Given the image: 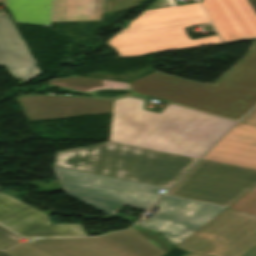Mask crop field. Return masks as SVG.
Segmentation results:
<instances>
[{"label":"crop field","instance_id":"a9b5d70f","mask_svg":"<svg viewBox=\"0 0 256 256\" xmlns=\"http://www.w3.org/2000/svg\"><path fill=\"white\" fill-rule=\"evenodd\" d=\"M35 239H36V238H35ZM31 240H34V239H28V241H31ZM28 241H27V242H28ZM25 243H26V242H25ZM20 244H23V243H19V244H17V245H14V246H12V247L7 248V249L13 248V247L18 246V245H20ZM7 249H4V250H2V251H5V250H7Z\"/></svg>","mask_w":256,"mask_h":256},{"label":"crop field","instance_id":"34b2d1b8","mask_svg":"<svg viewBox=\"0 0 256 256\" xmlns=\"http://www.w3.org/2000/svg\"><path fill=\"white\" fill-rule=\"evenodd\" d=\"M196 158L108 142L56 153V166L170 188Z\"/></svg>","mask_w":256,"mask_h":256},{"label":"crop field","instance_id":"4a817a6b","mask_svg":"<svg viewBox=\"0 0 256 256\" xmlns=\"http://www.w3.org/2000/svg\"><path fill=\"white\" fill-rule=\"evenodd\" d=\"M228 208L256 217V187Z\"/></svg>","mask_w":256,"mask_h":256},{"label":"crop field","instance_id":"f4fd0767","mask_svg":"<svg viewBox=\"0 0 256 256\" xmlns=\"http://www.w3.org/2000/svg\"><path fill=\"white\" fill-rule=\"evenodd\" d=\"M12 256H162L132 228L99 238L36 239L5 251Z\"/></svg>","mask_w":256,"mask_h":256},{"label":"crop field","instance_id":"412701ff","mask_svg":"<svg viewBox=\"0 0 256 256\" xmlns=\"http://www.w3.org/2000/svg\"><path fill=\"white\" fill-rule=\"evenodd\" d=\"M53 170L67 195L109 216L125 205L146 211L162 195V187L56 166Z\"/></svg>","mask_w":256,"mask_h":256},{"label":"crop field","instance_id":"dd49c442","mask_svg":"<svg viewBox=\"0 0 256 256\" xmlns=\"http://www.w3.org/2000/svg\"><path fill=\"white\" fill-rule=\"evenodd\" d=\"M256 186V170L201 160L167 194L229 206Z\"/></svg>","mask_w":256,"mask_h":256},{"label":"crop field","instance_id":"4177f3b9","mask_svg":"<svg viewBox=\"0 0 256 256\" xmlns=\"http://www.w3.org/2000/svg\"><path fill=\"white\" fill-rule=\"evenodd\" d=\"M0 256H9V255L4 253V252H2V251H0Z\"/></svg>","mask_w":256,"mask_h":256},{"label":"crop field","instance_id":"92a150f3","mask_svg":"<svg viewBox=\"0 0 256 256\" xmlns=\"http://www.w3.org/2000/svg\"><path fill=\"white\" fill-rule=\"evenodd\" d=\"M154 218H155L154 216H151V217H150L147 221H145L144 223L137 222L136 225H139V226H141V225H143V224L146 225V224L150 223Z\"/></svg>","mask_w":256,"mask_h":256},{"label":"crop field","instance_id":"d9b57169","mask_svg":"<svg viewBox=\"0 0 256 256\" xmlns=\"http://www.w3.org/2000/svg\"><path fill=\"white\" fill-rule=\"evenodd\" d=\"M52 0H7L15 22L50 25Z\"/></svg>","mask_w":256,"mask_h":256},{"label":"crop field","instance_id":"5a996713","mask_svg":"<svg viewBox=\"0 0 256 256\" xmlns=\"http://www.w3.org/2000/svg\"><path fill=\"white\" fill-rule=\"evenodd\" d=\"M0 224L24 237L85 236L80 225L51 224L47 215L1 193Z\"/></svg>","mask_w":256,"mask_h":256},{"label":"crop field","instance_id":"eef30255","mask_svg":"<svg viewBox=\"0 0 256 256\" xmlns=\"http://www.w3.org/2000/svg\"><path fill=\"white\" fill-rule=\"evenodd\" d=\"M0 2H2V0H0Z\"/></svg>","mask_w":256,"mask_h":256},{"label":"crop field","instance_id":"00972430","mask_svg":"<svg viewBox=\"0 0 256 256\" xmlns=\"http://www.w3.org/2000/svg\"><path fill=\"white\" fill-rule=\"evenodd\" d=\"M251 6L253 7L254 11L256 12V0H248Z\"/></svg>","mask_w":256,"mask_h":256},{"label":"crop field","instance_id":"d8731c3e","mask_svg":"<svg viewBox=\"0 0 256 256\" xmlns=\"http://www.w3.org/2000/svg\"><path fill=\"white\" fill-rule=\"evenodd\" d=\"M158 205L156 218L142 226L162 232L164 237L177 245L219 214L225 208L197 201L165 196Z\"/></svg>","mask_w":256,"mask_h":256},{"label":"crop field","instance_id":"8a807250","mask_svg":"<svg viewBox=\"0 0 256 256\" xmlns=\"http://www.w3.org/2000/svg\"><path fill=\"white\" fill-rule=\"evenodd\" d=\"M26 121L113 113L109 141L200 158L235 121L168 104L159 113L131 97L16 99Z\"/></svg>","mask_w":256,"mask_h":256},{"label":"crop field","instance_id":"dafd665d","mask_svg":"<svg viewBox=\"0 0 256 256\" xmlns=\"http://www.w3.org/2000/svg\"><path fill=\"white\" fill-rule=\"evenodd\" d=\"M244 256H256V247L254 249H252L251 251H249Z\"/></svg>","mask_w":256,"mask_h":256},{"label":"crop field","instance_id":"733c2abd","mask_svg":"<svg viewBox=\"0 0 256 256\" xmlns=\"http://www.w3.org/2000/svg\"><path fill=\"white\" fill-rule=\"evenodd\" d=\"M49 85L52 87L85 92V93H91L97 90H110V89H126L128 91H131L129 87L130 84L128 85L126 83L83 78V77H76V76H71L68 78H55L49 81Z\"/></svg>","mask_w":256,"mask_h":256},{"label":"crop field","instance_id":"22f410ed","mask_svg":"<svg viewBox=\"0 0 256 256\" xmlns=\"http://www.w3.org/2000/svg\"><path fill=\"white\" fill-rule=\"evenodd\" d=\"M203 159L256 169V126L238 122Z\"/></svg>","mask_w":256,"mask_h":256},{"label":"crop field","instance_id":"214f88e0","mask_svg":"<svg viewBox=\"0 0 256 256\" xmlns=\"http://www.w3.org/2000/svg\"><path fill=\"white\" fill-rule=\"evenodd\" d=\"M240 121L256 125V107Z\"/></svg>","mask_w":256,"mask_h":256},{"label":"crop field","instance_id":"bc2a9ffb","mask_svg":"<svg viewBox=\"0 0 256 256\" xmlns=\"http://www.w3.org/2000/svg\"><path fill=\"white\" fill-rule=\"evenodd\" d=\"M18 238L20 237L0 226V250L19 243Z\"/></svg>","mask_w":256,"mask_h":256},{"label":"crop field","instance_id":"730fd06b","mask_svg":"<svg viewBox=\"0 0 256 256\" xmlns=\"http://www.w3.org/2000/svg\"><path fill=\"white\" fill-rule=\"evenodd\" d=\"M185 256H199V255H195V254L188 253V254H186Z\"/></svg>","mask_w":256,"mask_h":256},{"label":"crop field","instance_id":"ac0d7876","mask_svg":"<svg viewBox=\"0 0 256 256\" xmlns=\"http://www.w3.org/2000/svg\"><path fill=\"white\" fill-rule=\"evenodd\" d=\"M130 87L134 93L240 119L256 104V45L216 86L153 72Z\"/></svg>","mask_w":256,"mask_h":256},{"label":"crop field","instance_id":"cbeb9de0","mask_svg":"<svg viewBox=\"0 0 256 256\" xmlns=\"http://www.w3.org/2000/svg\"><path fill=\"white\" fill-rule=\"evenodd\" d=\"M0 66H5L19 85L41 74L10 17L0 15Z\"/></svg>","mask_w":256,"mask_h":256},{"label":"crop field","instance_id":"5142ce71","mask_svg":"<svg viewBox=\"0 0 256 256\" xmlns=\"http://www.w3.org/2000/svg\"><path fill=\"white\" fill-rule=\"evenodd\" d=\"M103 0H53L51 22L101 20Z\"/></svg>","mask_w":256,"mask_h":256},{"label":"crop field","instance_id":"28ad6ade","mask_svg":"<svg viewBox=\"0 0 256 256\" xmlns=\"http://www.w3.org/2000/svg\"><path fill=\"white\" fill-rule=\"evenodd\" d=\"M221 39L225 42L256 37V14L247 0H203Z\"/></svg>","mask_w":256,"mask_h":256},{"label":"crop field","instance_id":"e52e79f7","mask_svg":"<svg viewBox=\"0 0 256 256\" xmlns=\"http://www.w3.org/2000/svg\"><path fill=\"white\" fill-rule=\"evenodd\" d=\"M256 245V218L225 209L178 248L211 256H243Z\"/></svg>","mask_w":256,"mask_h":256},{"label":"crop field","instance_id":"3316defc","mask_svg":"<svg viewBox=\"0 0 256 256\" xmlns=\"http://www.w3.org/2000/svg\"><path fill=\"white\" fill-rule=\"evenodd\" d=\"M206 23H208V20L198 3L152 7L144 10L132 21L129 28L123 29L112 39Z\"/></svg>","mask_w":256,"mask_h":256},{"label":"crop field","instance_id":"ae1a2a85","mask_svg":"<svg viewBox=\"0 0 256 256\" xmlns=\"http://www.w3.org/2000/svg\"><path fill=\"white\" fill-rule=\"evenodd\" d=\"M187 199V198H186ZM192 200V199H191ZM203 202V201H202ZM208 203V202H207Z\"/></svg>","mask_w":256,"mask_h":256},{"label":"crop field","instance_id":"d1516ede","mask_svg":"<svg viewBox=\"0 0 256 256\" xmlns=\"http://www.w3.org/2000/svg\"><path fill=\"white\" fill-rule=\"evenodd\" d=\"M218 43L220 41L217 35L191 40L184 29L108 41V44L119 52V57H133Z\"/></svg>","mask_w":256,"mask_h":256}]
</instances>
